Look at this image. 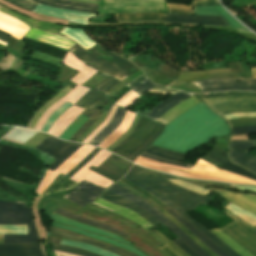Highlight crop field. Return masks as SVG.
Masks as SVG:
<instances>
[{
    "mask_svg": "<svg viewBox=\"0 0 256 256\" xmlns=\"http://www.w3.org/2000/svg\"><path fill=\"white\" fill-rule=\"evenodd\" d=\"M226 134H229L226 122L201 103L165 126L153 145L186 153L206 143L212 136Z\"/></svg>",
    "mask_w": 256,
    "mask_h": 256,
    "instance_id": "obj_1",
    "label": "crop field"
},
{
    "mask_svg": "<svg viewBox=\"0 0 256 256\" xmlns=\"http://www.w3.org/2000/svg\"><path fill=\"white\" fill-rule=\"evenodd\" d=\"M126 176L152 188L157 193H159L160 195H162L163 197L171 201L173 204L178 206L183 211L192 210L199 203L208 205L211 200V199L208 200L197 193H194L184 188H181L179 186H176L166 180V178H174V179H181V178H175L168 175L152 172L136 166H133L129 170ZM189 182L197 184L202 187L204 186L222 187V188L229 187V185H225V184L204 183V182H194V181H189Z\"/></svg>",
    "mask_w": 256,
    "mask_h": 256,
    "instance_id": "obj_2",
    "label": "crop field"
},
{
    "mask_svg": "<svg viewBox=\"0 0 256 256\" xmlns=\"http://www.w3.org/2000/svg\"><path fill=\"white\" fill-rule=\"evenodd\" d=\"M76 44L70 51L103 74L113 76L122 81L124 78L139 70L129 61L108 52L97 44L88 52Z\"/></svg>",
    "mask_w": 256,
    "mask_h": 256,
    "instance_id": "obj_3",
    "label": "crop field"
},
{
    "mask_svg": "<svg viewBox=\"0 0 256 256\" xmlns=\"http://www.w3.org/2000/svg\"><path fill=\"white\" fill-rule=\"evenodd\" d=\"M27 223L28 235H4L3 243L40 242L32 218L31 208H24V203L0 201V224Z\"/></svg>",
    "mask_w": 256,
    "mask_h": 256,
    "instance_id": "obj_4",
    "label": "crop field"
},
{
    "mask_svg": "<svg viewBox=\"0 0 256 256\" xmlns=\"http://www.w3.org/2000/svg\"><path fill=\"white\" fill-rule=\"evenodd\" d=\"M208 106L223 115L236 112L256 111V92H223L203 97Z\"/></svg>",
    "mask_w": 256,
    "mask_h": 256,
    "instance_id": "obj_5",
    "label": "crop field"
},
{
    "mask_svg": "<svg viewBox=\"0 0 256 256\" xmlns=\"http://www.w3.org/2000/svg\"><path fill=\"white\" fill-rule=\"evenodd\" d=\"M65 65L74 68L80 73L75 76L71 81L77 83L78 85L67 95H65L62 99L57 101L54 105H52L39 119L35 129L41 130L43 127L46 119L61 105L66 103L67 101L74 104L77 100H79L89 89L84 88L80 86L82 83H84L88 78H90L95 71L90 66L82 62L80 59L75 57L70 51L67 53V55L64 57L62 61Z\"/></svg>",
    "mask_w": 256,
    "mask_h": 256,
    "instance_id": "obj_6",
    "label": "crop field"
},
{
    "mask_svg": "<svg viewBox=\"0 0 256 256\" xmlns=\"http://www.w3.org/2000/svg\"><path fill=\"white\" fill-rule=\"evenodd\" d=\"M118 83L119 81L108 78L93 90H90L89 92L87 91L88 93L86 92L87 94L75 103V105L86 109L82 114L91 118L80 127L70 140L75 141L102 114V111L97 108L104 104L108 97L96 92L95 90L106 94Z\"/></svg>",
    "mask_w": 256,
    "mask_h": 256,
    "instance_id": "obj_7",
    "label": "crop field"
},
{
    "mask_svg": "<svg viewBox=\"0 0 256 256\" xmlns=\"http://www.w3.org/2000/svg\"><path fill=\"white\" fill-rule=\"evenodd\" d=\"M51 220H54L56 222H60V223H63V224L71 225V226H74V227H78V228L88 230V231H91V232H94V233H98V234H101V235H104V236H108V237H111V238H115V239H118V240H120V241H122L126 244H129L125 240H123L121 237H119L115 234H112V233H110L106 230L96 228V227H93V226H90V225H87V224H84V223H81V222H78V221H75V220H71V219L62 217L60 215L54 214V213L51 217ZM54 221L52 222V225H54V226L61 227V228H64V229H67V230H70V231H73V232H76V233H79V234H82V235L93 237V238L98 239L102 242L127 249V250H129V251H131V252H133V253H135L139 256H146V255L140 253L137 249H135L133 247H130L128 245H125L123 243H120L118 241H115L111 238L100 236V235L93 234V233H89V232H86V231L78 229V228H74V227H71V226L56 223ZM129 245H131V244H129ZM131 246H133V245H131Z\"/></svg>",
    "mask_w": 256,
    "mask_h": 256,
    "instance_id": "obj_8",
    "label": "crop field"
},
{
    "mask_svg": "<svg viewBox=\"0 0 256 256\" xmlns=\"http://www.w3.org/2000/svg\"><path fill=\"white\" fill-rule=\"evenodd\" d=\"M108 190L118 194L119 196L131 201L132 203L142 207L159 221H161L166 227H168L174 234H176L180 239H182L192 250H194L200 256H209L205 253L200 247H198L180 228L166 219L163 215H161L155 208H153L150 204H148L143 199L135 196L131 192H129L124 187L114 184Z\"/></svg>",
    "mask_w": 256,
    "mask_h": 256,
    "instance_id": "obj_9",
    "label": "crop field"
},
{
    "mask_svg": "<svg viewBox=\"0 0 256 256\" xmlns=\"http://www.w3.org/2000/svg\"><path fill=\"white\" fill-rule=\"evenodd\" d=\"M82 145L60 141L49 136L35 148L44 151L56 160L51 163L48 169L54 171L63 161H65L76 149Z\"/></svg>",
    "mask_w": 256,
    "mask_h": 256,
    "instance_id": "obj_10",
    "label": "crop field"
},
{
    "mask_svg": "<svg viewBox=\"0 0 256 256\" xmlns=\"http://www.w3.org/2000/svg\"><path fill=\"white\" fill-rule=\"evenodd\" d=\"M221 229L256 256V227L253 228L238 219Z\"/></svg>",
    "mask_w": 256,
    "mask_h": 256,
    "instance_id": "obj_11",
    "label": "crop field"
},
{
    "mask_svg": "<svg viewBox=\"0 0 256 256\" xmlns=\"http://www.w3.org/2000/svg\"><path fill=\"white\" fill-rule=\"evenodd\" d=\"M94 147L83 145L73 155H71L64 163H62L54 172L47 169L46 175L36 190L39 196L48 188L56 176L60 173L66 174L73 167H75Z\"/></svg>",
    "mask_w": 256,
    "mask_h": 256,
    "instance_id": "obj_12",
    "label": "crop field"
},
{
    "mask_svg": "<svg viewBox=\"0 0 256 256\" xmlns=\"http://www.w3.org/2000/svg\"><path fill=\"white\" fill-rule=\"evenodd\" d=\"M127 180H129L131 183L136 185L137 187L141 188L142 190L146 191L147 193L154 196L156 199H158L160 202L168 206L173 211L177 212L180 216H182L186 221L191 223L193 226H195L198 230H200L203 234H205L209 239H211L216 245H218L222 250H224L226 253H228L230 256H239L236 254L233 250H231L227 245H225L222 241H220L217 237H215L213 234H211L208 230H206L204 227H202L200 224H198L195 220H193L191 217H189L187 214H185L182 210H180L178 207L173 205L171 202L157 194L155 191L143 186L142 184L128 178L124 177Z\"/></svg>",
    "mask_w": 256,
    "mask_h": 256,
    "instance_id": "obj_13",
    "label": "crop field"
},
{
    "mask_svg": "<svg viewBox=\"0 0 256 256\" xmlns=\"http://www.w3.org/2000/svg\"><path fill=\"white\" fill-rule=\"evenodd\" d=\"M256 148L254 140L230 141L229 159L256 173V157L246 153L248 149Z\"/></svg>",
    "mask_w": 256,
    "mask_h": 256,
    "instance_id": "obj_14",
    "label": "crop field"
},
{
    "mask_svg": "<svg viewBox=\"0 0 256 256\" xmlns=\"http://www.w3.org/2000/svg\"><path fill=\"white\" fill-rule=\"evenodd\" d=\"M110 153L101 150L88 164H86L81 170H79L76 174H74L70 179L80 182L82 179L89 181L91 183L97 184L104 188H107L113 182L91 172L88 168L93 165L97 167L100 163L104 162Z\"/></svg>",
    "mask_w": 256,
    "mask_h": 256,
    "instance_id": "obj_15",
    "label": "crop field"
},
{
    "mask_svg": "<svg viewBox=\"0 0 256 256\" xmlns=\"http://www.w3.org/2000/svg\"><path fill=\"white\" fill-rule=\"evenodd\" d=\"M186 172H190L198 175L222 178V179H227V180L236 181V182L256 184V181H253L251 179H248L239 175L225 172L219 169L218 167L210 163H207L201 159L198 160L195 166L186 170Z\"/></svg>",
    "mask_w": 256,
    "mask_h": 256,
    "instance_id": "obj_16",
    "label": "crop field"
},
{
    "mask_svg": "<svg viewBox=\"0 0 256 256\" xmlns=\"http://www.w3.org/2000/svg\"><path fill=\"white\" fill-rule=\"evenodd\" d=\"M103 188L83 181L71 193L63 198L83 207L92 202Z\"/></svg>",
    "mask_w": 256,
    "mask_h": 256,
    "instance_id": "obj_17",
    "label": "crop field"
},
{
    "mask_svg": "<svg viewBox=\"0 0 256 256\" xmlns=\"http://www.w3.org/2000/svg\"><path fill=\"white\" fill-rule=\"evenodd\" d=\"M202 159L222 168L225 171L233 172V173L251 178L253 180H256L255 174L231 164L226 157V152L216 147L213 148L209 154L203 156Z\"/></svg>",
    "mask_w": 256,
    "mask_h": 256,
    "instance_id": "obj_18",
    "label": "crop field"
},
{
    "mask_svg": "<svg viewBox=\"0 0 256 256\" xmlns=\"http://www.w3.org/2000/svg\"><path fill=\"white\" fill-rule=\"evenodd\" d=\"M134 163H136L140 166L146 167V168L153 169V170H157V171H161V172H165V173H169V174H173V175H178V176L189 177V178H193V179L217 180V181H224V182L235 183V184H242V183H236V182L226 181V180H222V179L203 177V176L186 174V173H181V172L169 170V169H166V167L181 170V171L186 170V168H182V167H179V166L168 165V164H165V163H162V162L145 159V158H142L140 156H138V158L134 161Z\"/></svg>",
    "mask_w": 256,
    "mask_h": 256,
    "instance_id": "obj_19",
    "label": "crop field"
},
{
    "mask_svg": "<svg viewBox=\"0 0 256 256\" xmlns=\"http://www.w3.org/2000/svg\"><path fill=\"white\" fill-rule=\"evenodd\" d=\"M0 256H45L41 243L0 244Z\"/></svg>",
    "mask_w": 256,
    "mask_h": 256,
    "instance_id": "obj_20",
    "label": "crop field"
},
{
    "mask_svg": "<svg viewBox=\"0 0 256 256\" xmlns=\"http://www.w3.org/2000/svg\"><path fill=\"white\" fill-rule=\"evenodd\" d=\"M50 230L52 232L53 235L64 238V239H68V240H74V241H80V242H85V243H89L92 245H95L97 247L103 248L105 250H108L110 252H113L115 254H118L120 256H136L126 250L120 249V248H116L113 246H110L108 244L87 238V237H83L77 234H74L72 232L66 231V230H62V229H58V228H54V227H50Z\"/></svg>",
    "mask_w": 256,
    "mask_h": 256,
    "instance_id": "obj_21",
    "label": "crop field"
},
{
    "mask_svg": "<svg viewBox=\"0 0 256 256\" xmlns=\"http://www.w3.org/2000/svg\"><path fill=\"white\" fill-rule=\"evenodd\" d=\"M166 22L172 23H196L205 25H230L221 16H191V15H178L167 14Z\"/></svg>",
    "mask_w": 256,
    "mask_h": 256,
    "instance_id": "obj_22",
    "label": "crop field"
},
{
    "mask_svg": "<svg viewBox=\"0 0 256 256\" xmlns=\"http://www.w3.org/2000/svg\"><path fill=\"white\" fill-rule=\"evenodd\" d=\"M222 197L226 198L232 204L239 206L253 214L256 215V196L253 194H245V193H231L227 191H222L218 189H209Z\"/></svg>",
    "mask_w": 256,
    "mask_h": 256,
    "instance_id": "obj_23",
    "label": "crop field"
},
{
    "mask_svg": "<svg viewBox=\"0 0 256 256\" xmlns=\"http://www.w3.org/2000/svg\"><path fill=\"white\" fill-rule=\"evenodd\" d=\"M0 11H3L9 15H12V16L24 21L25 23H27L29 26H31L33 28H36V29H39L42 31H46V32H49V33H52V34H55V35H58V36L68 39L67 37H65L64 35L59 33L62 29L65 28L64 26H59V25H55V24H51V23H47V22L30 19L28 17L17 14L1 5H0Z\"/></svg>",
    "mask_w": 256,
    "mask_h": 256,
    "instance_id": "obj_24",
    "label": "crop field"
},
{
    "mask_svg": "<svg viewBox=\"0 0 256 256\" xmlns=\"http://www.w3.org/2000/svg\"><path fill=\"white\" fill-rule=\"evenodd\" d=\"M82 111H84V109L72 105L69 109H67L63 114L58 117L57 121L49 129L48 133L59 137L68 127V125L73 122Z\"/></svg>",
    "mask_w": 256,
    "mask_h": 256,
    "instance_id": "obj_25",
    "label": "crop field"
},
{
    "mask_svg": "<svg viewBox=\"0 0 256 256\" xmlns=\"http://www.w3.org/2000/svg\"><path fill=\"white\" fill-rule=\"evenodd\" d=\"M100 198L137 212L139 215H141L144 219H146L148 222H150L154 226L161 223L158 220H156L154 217H152L150 214H148L146 211H144L142 208L126 201L125 199L107 190L100 196Z\"/></svg>",
    "mask_w": 256,
    "mask_h": 256,
    "instance_id": "obj_26",
    "label": "crop field"
},
{
    "mask_svg": "<svg viewBox=\"0 0 256 256\" xmlns=\"http://www.w3.org/2000/svg\"><path fill=\"white\" fill-rule=\"evenodd\" d=\"M38 3H42L48 6L57 7V8H65L72 9L84 12H92L96 13L98 5L95 4H87L70 0H33Z\"/></svg>",
    "mask_w": 256,
    "mask_h": 256,
    "instance_id": "obj_27",
    "label": "crop field"
},
{
    "mask_svg": "<svg viewBox=\"0 0 256 256\" xmlns=\"http://www.w3.org/2000/svg\"><path fill=\"white\" fill-rule=\"evenodd\" d=\"M189 97L191 96L180 91L179 93L172 95L171 97L166 99L164 102H162L161 104L153 108L151 111L145 114L144 117L155 121L158 117H160L163 113H165L171 107H173L174 105L182 102L183 100Z\"/></svg>",
    "mask_w": 256,
    "mask_h": 256,
    "instance_id": "obj_28",
    "label": "crop field"
},
{
    "mask_svg": "<svg viewBox=\"0 0 256 256\" xmlns=\"http://www.w3.org/2000/svg\"><path fill=\"white\" fill-rule=\"evenodd\" d=\"M201 103L197 99L191 97L182 103L174 106L172 109H170L168 112H166L164 115H162L156 122L162 123V124H169L171 121H173L176 117H178L181 113L188 110L189 108Z\"/></svg>",
    "mask_w": 256,
    "mask_h": 256,
    "instance_id": "obj_29",
    "label": "crop field"
},
{
    "mask_svg": "<svg viewBox=\"0 0 256 256\" xmlns=\"http://www.w3.org/2000/svg\"><path fill=\"white\" fill-rule=\"evenodd\" d=\"M198 87L202 92L227 89L256 90V87H250L247 81L207 83L198 85Z\"/></svg>",
    "mask_w": 256,
    "mask_h": 256,
    "instance_id": "obj_30",
    "label": "crop field"
},
{
    "mask_svg": "<svg viewBox=\"0 0 256 256\" xmlns=\"http://www.w3.org/2000/svg\"><path fill=\"white\" fill-rule=\"evenodd\" d=\"M194 14L222 15L233 28L248 31L240 25L230 14H228L221 6L212 7H193Z\"/></svg>",
    "mask_w": 256,
    "mask_h": 256,
    "instance_id": "obj_31",
    "label": "crop field"
},
{
    "mask_svg": "<svg viewBox=\"0 0 256 256\" xmlns=\"http://www.w3.org/2000/svg\"><path fill=\"white\" fill-rule=\"evenodd\" d=\"M134 117L135 114L127 111L121 125L115 131H113L102 143H100L98 147L106 149L117 139H119L124 134V132L129 128Z\"/></svg>",
    "mask_w": 256,
    "mask_h": 256,
    "instance_id": "obj_32",
    "label": "crop field"
},
{
    "mask_svg": "<svg viewBox=\"0 0 256 256\" xmlns=\"http://www.w3.org/2000/svg\"><path fill=\"white\" fill-rule=\"evenodd\" d=\"M169 214L175 217L179 222H181L187 229H189L197 238H199L207 247H209L213 252H215L219 256H229L224 251H222L219 247H217L214 243H212L208 238H206L202 233H200L196 228H194L191 224L177 216L172 210L166 208Z\"/></svg>",
    "mask_w": 256,
    "mask_h": 256,
    "instance_id": "obj_33",
    "label": "crop field"
},
{
    "mask_svg": "<svg viewBox=\"0 0 256 256\" xmlns=\"http://www.w3.org/2000/svg\"><path fill=\"white\" fill-rule=\"evenodd\" d=\"M222 76H233V75L230 69H220V70H210L207 72H200V73L181 74L178 80L183 82H191L196 80H202V79L213 78V77H222Z\"/></svg>",
    "mask_w": 256,
    "mask_h": 256,
    "instance_id": "obj_34",
    "label": "crop field"
},
{
    "mask_svg": "<svg viewBox=\"0 0 256 256\" xmlns=\"http://www.w3.org/2000/svg\"><path fill=\"white\" fill-rule=\"evenodd\" d=\"M116 22L126 21H165V14L144 13V14H115Z\"/></svg>",
    "mask_w": 256,
    "mask_h": 256,
    "instance_id": "obj_35",
    "label": "crop field"
},
{
    "mask_svg": "<svg viewBox=\"0 0 256 256\" xmlns=\"http://www.w3.org/2000/svg\"><path fill=\"white\" fill-rule=\"evenodd\" d=\"M125 110L121 109L118 107L113 119L111 120V122L108 124V126L102 130L94 139H92L89 143L90 144H94V145H98L103 139H105L114 129H116L118 127V125L120 124L124 114H125Z\"/></svg>",
    "mask_w": 256,
    "mask_h": 256,
    "instance_id": "obj_36",
    "label": "crop field"
},
{
    "mask_svg": "<svg viewBox=\"0 0 256 256\" xmlns=\"http://www.w3.org/2000/svg\"><path fill=\"white\" fill-rule=\"evenodd\" d=\"M56 213H59L61 215H64L68 218H71V219H75V220H78V221H81V222H84V223H87V224H90V225H93V226H96V227H100V228H103V229H106V230H109V231H112L114 233H117L119 234L121 237H123L124 239L127 238L128 234H126L125 232H123L122 230L116 228V227H113V226H110V225H106V224H102V223H98V222H95V221H91V220H88V219H84V218H81V217H78L72 213H69L67 211H65L64 209L58 207L55 211Z\"/></svg>",
    "mask_w": 256,
    "mask_h": 256,
    "instance_id": "obj_37",
    "label": "crop field"
},
{
    "mask_svg": "<svg viewBox=\"0 0 256 256\" xmlns=\"http://www.w3.org/2000/svg\"><path fill=\"white\" fill-rule=\"evenodd\" d=\"M151 124L152 121L144 119L138 133L130 141H128L119 151H117L116 154L123 157L126 153H128L138 142H140L144 138Z\"/></svg>",
    "mask_w": 256,
    "mask_h": 256,
    "instance_id": "obj_38",
    "label": "crop field"
},
{
    "mask_svg": "<svg viewBox=\"0 0 256 256\" xmlns=\"http://www.w3.org/2000/svg\"><path fill=\"white\" fill-rule=\"evenodd\" d=\"M219 4L218 0H193L191 6L167 4L169 11L173 13L193 14L192 6H210Z\"/></svg>",
    "mask_w": 256,
    "mask_h": 256,
    "instance_id": "obj_39",
    "label": "crop field"
},
{
    "mask_svg": "<svg viewBox=\"0 0 256 256\" xmlns=\"http://www.w3.org/2000/svg\"><path fill=\"white\" fill-rule=\"evenodd\" d=\"M77 184L78 183L59 175L55 182L48 188V190L43 195H49L59 191L70 190L73 189Z\"/></svg>",
    "mask_w": 256,
    "mask_h": 256,
    "instance_id": "obj_40",
    "label": "crop field"
},
{
    "mask_svg": "<svg viewBox=\"0 0 256 256\" xmlns=\"http://www.w3.org/2000/svg\"><path fill=\"white\" fill-rule=\"evenodd\" d=\"M126 86L142 95L153 89L157 85L153 84L150 80H148L143 73Z\"/></svg>",
    "mask_w": 256,
    "mask_h": 256,
    "instance_id": "obj_41",
    "label": "crop field"
},
{
    "mask_svg": "<svg viewBox=\"0 0 256 256\" xmlns=\"http://www.w3.org/2000/svg\"><path fill=\"white\" fill-rule=\"evenodd\" d=\"M102 165L124 175L133 164L111 154Z\"/></svg>",
    "mask_w": 256,
    "mask_h": 256,
    "instance_id": "obj_42",
    "label": "crop field"
},
{
    "mask_svg": "<svg viewBox=\"0 0 256 256\" xmlns=\"http://www.w3.org/2000/svg\"><path fill=\"white\" fill-rule=\"evenodd\" d=\"M109 210V209H108ZM111 211V210H110ZM113 212V211H112ZM146 230V229H145ZM149 232V231H148ZM156 238H158L161 243L164 244L165 246L161 247L164 252H166L170 256H188L184 252H182L179 248H177L174 244H172L169 240H167L165 237H163L160 233L157 231H151L149 232Z\"/></svg>",
    "mask_w": 256,
    "mask_h": 256,
    "instance_id": "obj_43",
    "label": "crop field"
},
{
    "mask_svg": "<svg viewBox=\"0 0 256 256\" xmlns=\"http://www.w3.org/2000/svg\"><path fill=\"white\" fill-rule=\"evenodd\" d=\"M210 232L214 233L219 237L224 243H226L230 248L236 251L241 256H252L249 252L243 249L239 244H237L233 239H231L227 234H225L220 229H213Z\"/></svg>",
    "mask_w": 256,
    "mask_h": 256,
    "instance_id": "obj_44",
    "label": "crop field"
},
{
    "mask_svg": "<svg viewBox=\"0 0 256 256\" xmlns=\"http://www.w3.org/2000/svg\"><path fill=\"white\" fill-rule=\"evenodd\" d=\"M72 88L66 86L64 89H62L55 97H53L51 100L45 103V105L39 109L36 114L34 115L31 123L28 125V128H34L36 122L40 118V116L57 100H59L61 97H63L65 94H67Z\"/></svg>",
    "mask_w": 256,
    "mask_h": 256,
    "instance_id": "obj_45",
    "label": "crop field"
},
{
    "mask_svg": "<svg viewBox=\"0 0 256 256\" xmlns=\"http://www.w3.org/2000/svg\"><path fill=\"white\" fill-rule=\"evenodd\" d=\"M166 218L180 227L197 245H199L203 250H205L211 256H217L210 249H208L202 242H200L195 236H193L182 224H180L175 218L165 212L163 209L159 210Z\"/></svg>",
    "mask_w": 256,
    "mask_h": 256,
    "instance_id": "obj_46",
    "label": "crop field"
},
{
    "mask_svg": "<svg viewBox=\"0 0 256 256\" xmlns=\"http://www.w3.org/2000/svg\"><path fill=\"white\" fill-rule=\"evenodd\" d=\"M0 30L5 31L9 34H11V36L17 38V39H21L24 34L27 32V30L20 28L18 26H15L11 23H8L4 20L0 19Z\"/></svg>",
    "mask_w": 256,
    "mask_h": 256,
    "instance_id": "obj_47",
    "label": "crop field"
},
{
    "mask_svg": "<svg viewBox=\"0 0 256 256\" xmlns=\"http://www.w3.org/2000/svg\"><path fill=\"white\" fill-rule=\"evenodd\" d=\"M87 120V118L83 115H79L78 119H76L60 136L62 139L69 140L70 137L75 133V131Z\"/></svg>",
    "mask_w": 256,
    "mask_h": 256,
    "instance_id": "obj_48",
    "label": "crop field"
},
{
    "mask_svg": "<svg viewBox=\"0 0 256 256\" xmlns=\"http://www.w3.org/2000/svg\"><path fill=\"white\" fill-rule=\"evenodd\" d=\"M51 245H52L53 249L57 250V251L68 252V253H72V254H76V255H80V256H99L97 254L91 253L86 250L75 249V248H71V247H67V246H63V245H55V244H51Z\"/></svg>",
    "mask_w": 256,
    "mask_h": 256,
    "instance_id": "obj_49",
    "label": "crop field"
},
{
    "mask_svg": "<svg viewBox=\"0 0 256 256\" xmlns=\"http://www.w3.org/2000/svg\"><path fill=\"white\" fill-rule=\"evenodd\" d=\"M251 71H252L253 79H248V81H249L250 85H256V67L252 68ZM234 80H246V79H243V78H214V79H207V80L192 82V84L198 85V84L207 83V82L234 81Z\"/></svg>",
    "mask_w": 256,
    "mask_h": 256,
    "instance_id": "obj_50",
    "label": "crop field"
},
{
    "mask_svg": "<svg viewBox=\"0 0 256 256\" xmlns=\"http://www.w3.org/2000/svg\"><path fill=\"white\" fill-rule=\"evenodd\" d=\"M139 97V95L130 90L117 101L116 105L126 108Z\"/></svg>",
    "mask_w": 256,
    "mask_h": 256,
    "instance_id": "obj_51",
    "label": "crop field"
},
{
    "mask_svg": "<svg viewBox=\"0 0 256 256\" xmlns=\"http://www.w3.org/2000/svg\"><path fill=\"white\" fill-rule=\"evenodd\" d=\"M90 169H92V170H94V171H96V172H98V173H100V174H102V175H104V176L114 180V181H117L120 178H122L121 175H119V174L109 170L108 168H106V167H104L102 165L98 166L97 168L91 166Z\"/></svg>",
    "mask_w": 256,
    "mask_h": 256,
    "instance_id": "obj_52",
    "label": "crop field"
},
{
    "mask_svg": "<svg viewBox=\"0 0 256 256\" xmlns=\"http://www.w3.org/2000/svg\"><path fill=\"white\" fill-rule=\"evenodd\" d=\"M164 125L159 124L158 130L153 134V136L139 149L137 150L131 157L128 158V160L133 161V159L140 154L142 151H144L154 140L155 138L160 135V133L163 131Z\"/></svg>",
    "mask_w": 256,
    "mask_h": 256,
    "instance_id": "obj_53",
    "label": "crop field"
},
{
    "mask_svg": "<svg viewBox=\"0 0 256 256\" xmlns=\"http://www.w3.org/2000/svg\"><path fill=\"white\" fill-rule=\"evenodd\" d=\"M117 106H112L106 120L93 132L91 133L83 142L88 143L101 129H103L111 120Z\"/></svg>",
    "mask_w": 256,
    "mask_h": 256,
    "instance_id": "obj_54",
    "label": "crop field"
},
{
    "mask_svg": "<svg viewBox=\"0 0 256 256\" xmlns=\"http://www.w3.org/2000/svg\"><path fill=\"white\" fill-rule=\"evenodd\" d=\"M100 149L95 148L84 160H82L75 168L66 174V176H72L76 171L82 168L95 154H97Z\"/></svg>",
    "mask_w": 256,
    "mask_h": 256,
    "instance_id": "obj_55",
    "label": "crop field"
},
{
    "mask_svg": "<svg viewBox=\"0 0 256 256\" xmlns=\"http://www.w3.org/2000/svg\"><path fill=\"white\" fill-rule=\"evenodd\" d=\"M18 7H21V8H24V9H27L29 11L32 10V8L37 5V3L35 2H32L30 0H6Z\"/></svg>",
    "mask_w": 256,
    "mask_h": 256,
    "instance_id": "obj_56",
    "label": "crop field"
},
{
    "mask_svg": "<svg viewBox=\"0 0 256 256\" xmlns=\"http://www.w3.org/2000/svg\"><path fill=\"white\" fill-rule=\"evenodd\" d=\"M232 129H233V135L256 133V126H242V127H235Z\"/></svg>",
    "mask_w": 256,
    "mask_h": 256,
    "instance_id": "obj_57",
    "label": "crop field"
},
{
    "mask_svg": "<svg viewBox=\"0 0 256 256\" xmlns=\"http://www.w3.org/2000/svg\"><path fill=\"white\" fill-rule=\"evenodd\" d=\"M157 126H158V124L154 122L152 127L150 128L148 134L146 135V137L132 151H130L124 158L127 159L134 151H136L141 145H143L152 136V134L156 131Z\"/></svg>",
    "mask_w": 256,
    "mask_h": 256,
    "instance_id": "obj_58",
    "label": "crop field"
},
{
    "mask_svg": "<svg viewBox=\"0 0 256 256\" xmlns=\"http://www.w3.org/2000/svg\"><path fill=\"white\" fill-rule=\"evenodd\" d=\"M176 246H178L181 250L186 252L190 256H198L194 251H192L186 244H184L179 238L171 241Z\"/></svg>",
    "mask_w": 256,
    "mask_h": 256,
    "instance_id": "obj_59",
    "label": "crop field"
},
{
    "mask_svg": "<svg viewBox=\"0 0 256 256\" xmlns=\"http://www.w3.org/2000/svg\"><path fill=\"white\" fill-rule=\"evenodd\" d=\"M228 123L231 125V127L244 125V124H256V118L229 120Z\"/></svg>",
    "mask_w": 256,
    "mask_h": 256,
    "instance_id": "obj_60",
    "label": "crop field"
},
{
    "mask_svg": "<svg viewBox=\"0 0 256 256\" xmlns=\"http://www.w3.org/2000/svg\"><path fill=\"white\" fill-rule=\"evenodd\" d=\"M0 18L6 20V21H8V22H11V23H13V24H16V25H18V26H20V27H23V28H25V29H27V30H29V28H30V27H28L27 25H25L24 23H22V22H20V21H18V20H16V19H14V18H12V17H10V16H7V15H5V14L0 13Z\"/></svg>",
    "mask_w": 256,
    "mask_h": 256,
    "instance_id": "obj_61",
    "label": "crop field"
},
{
    "mask_svg": "<svg viewBox=\"0 0 256 256\" xmlns=\"http://www.w3.org/2000/svg\"><path fill=\"white\" fill-rule=\"evenodd\" d=\"M140 156H144V157H147V158H150V159H154V160L166 162V163H169V164L184 166V167H187V168H188L189 166H191V165H186V164L179 163V162H175V161H170V160H166V159L157 158V157H154V156L145 154V153L141 154Z\"/></svg>",
    "mask_w": 256,
    "mask_h": 256,
    "instance_id": "obj_62",
    "label": "crop field"
},
{
    "mask_svg": "<svg viewBox=\"0 0 256 256\" xmlns=\"http://www.w3.org/2000/svg\"><path fill=\"white\" fill-rule=\"evenodd\" d=\"M143 119H144V118H142V117L140 118V120H139V122H138L136 128L134 129V131H133L125 140H123L117 147H115V148L112 150V152L115 153L127 140H129L133 135L136 134V132L138 131V129H139V127H140V125H141Z\"/></svg>",
    "mask_w": 256,
    "mask_h": 256,
    "instance_id": "obj_63",
    "label": "crop field"
},
{
    "mask_svg": "<svg viewBox=\"0 0 256 256\" xmlns=\"http://www.w3.org/2000/svg\"><path fill=\"white\" fill-rule=\"evenodd\" d=\"M146 153H149V154L154 155V156L170 159V160H175V161H180V162L183 161L182 158L173 157V156H169V155H164V154H161V153L149 150V149H147Z\"/></svg>",
    "mask_w": 256,
    "mask_h": 256,
    "instance_id": "obj_64",
    "label": "crop field"
},
{
    "mask_svg": "<svg viewBox=\"0 0 256 256\" xmlns=\"http://www.w3.org/2000/svg\"><path fill=\"white\" fill-rule=\"evenodd\" d=\"M149 149H152V150H155V151H159V152H162V153H165V154H169V155H175V156H181V157L184 156L183 153L167 151V150L161 149V148L156 147V146H153V145H151V146L149 147Z\"/></svg>",
    "mask_w": 256,
    "mask_h": 256,
    "instance_id": "obj_65",
    "label": "crop field"
},
{
    "mask_svg": "<svg viewBox=\"0 0 256 256\" xmlns=\"http://www.w3.org/2000/svg\"><path fill=\"white\" fill-rule=\"evenodd\" d=\"M150 92L160 93V94H166V93L170 92V93L174 94L178 91H174V90H170V89H166V88L158 86V87L154 88L153 90H151Z\"/></svg>",
    "mask_w": 256,
    "mask_h": 256,
    "instance_id": "obj_66",
    "label": "crop field"
},
{
    "mask_svg": "<svg viewBox=\"0 0 256 256\" xmlns=\"http://www.w3.org/2000/svg\"><path fill=\"white\" fill-rule=\"evenodd\" d=\"M9 36H10L9 34L0 31V40H2V41L7 43Z\"/></svg>",
    "mask_w": 256,
    "mask_h": 256,
    "instance_id": "obj_67",
    "label": "crop field"
},
{
    "mask_svg": "<svg viewBox=\"0 0 256 256\" xmlns=\"http://www.w3.org/2000/svg\"><path fill=\"white\" fill-rule=\"evenodd\" d=\"M3 235H0V243H2Z\"/></svg>",
    "mask_w": 256,
    "mask_h": 256,
    "instance_id": "obj_68",
    "label": "crop field"
},
{
    "mask_svg": "<svg viewBox=\"0 0 256 256\" xmlns=\"http://www.w3.org/2000/svg\"><path fill=\"white\" fill-rule=\"evenodd\" d=\"M0 43L3 44V45H5V46L7 45L6 43H2V42H0Z\"/></svg>",
    "mask_w": 256,
    "mask_h": 256,
    "instance_id": "obj_69",
    "label": "crop field"
}]
</instances>
